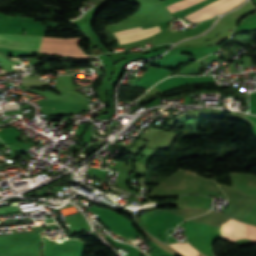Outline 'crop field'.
Here are the masks:
<instances>
[{
    "instance_id": "obj_2",
    "label": "crop field",
    "mask_w": 256,
    "mask_h": 256,
    "mask_svg": "<svg viewBox=\"0 0 256 256\" xmlns=\"http://www.w3.org/2000/svg\"><path fill=\"white\" fill-rule=\"evenodd\" d=\"M160 31L158 25L149 26L144 28H136L123 33L116 34L120 44L133 43L144 40L158 34Z\"/></svg>"
},
{
    "instance_id": "obj_3",
    "label": "crop field",
    "mask_w": 256,
    "mask_h": 256,
    "mask_svg": "<svg viewBox=\"0 0 256 256\" xmlns=\"http://www.w3.org/2000/svg\"><path fill=\"white\" fill-rule=\"evenodd\" d=\"M221 237L228 240H236L247 237V224L229 219L221 225Z\"/></svg>"
},
{
    "instance_id": "obj_4",
    "label": "crop field",
    "mask_w": 256,
    "mask_h": 256,
    "mask_svg": "<svg viewBox=\"0 0 256 256\" xmlns=\"http://www.w3.org/2000/svg\"><path fill=\"white\" fill-rule=\"evenodd\" d=\"M174 249L179 251L185 256H197L199 255L198 251H196L191 245L187 242L185 243H178V244H170Z\"/></svg>"
},
{
    "instance_id": "obj_6",
    "label": "crop field",
    "mask_w": 256,
    "mask_h": 256,
    "mask_svg": "<svg viewBox=\"0 0 256 256\" xmlns=\"http://www.w3.org/2000/svg\"><path fill=\"white\" fill-rule=\"evenodd\" d=\"M130 237V236H129ZM131 238V237H130ZM133 239V238H132Z\"/></svg>"
},
{
    "instance_id": "obj_1",
    "label": "crop field",
    "mask_w": 256,
    "mask_h": 256,
    "mask_svg": "<svg viewBox=\"0 0 256 256\" xmlns=\"http://www.w3.org/2000/svg\"><path fill=\"white\" fill-rule=\"evenodd\" d=\"M41 38L30 35H0V47L39 51Z\"/></svg>"
},
{
    "instance_id": "obj_5",
    "label": "crop field",
    "mask_w": 256,
    "mask_h": 256,
    "mask_svg": "<svg viewBox=\"0 0 256 256\" xmlns=\"http://www.w3.org/2000/svg\"><path fill=\"white\" fill-rule=\"evenodd\" d=\"M199 1H201V0H181V1H178V2H176V3H173V4H171V5L166 6V8H167L170 12H172V11H174V10H177V9L181 8V7H184V6H186V5L190 6V5H192V4H194V3H197V2H199ZM188 6H186V7H188ZM184 8H185V7H184ZM181 9H183V8H181ZM179 10H180V9H179ZM174 12H175V11H174Z\"/></svg>"
}]
</instances>
